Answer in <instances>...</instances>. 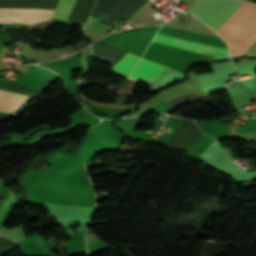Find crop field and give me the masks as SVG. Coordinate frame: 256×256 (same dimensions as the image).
I'll use <instances>...</instances> for the list:
<instances>
[{
    "label": "crop field",
    "instance_id": "crop-field-7",
    "mask_svg": "<svg viewBox=\"0 0 256 256\" xmlns=\"http://www.w3.org/2000/svg\"><path fill=\"white\" fill-rule=\"evenodd\" d=\"M0 96L9 98V99L22 101V102H27L28 100H30V98H27V97H24L21 95L7 93V92H1V91H0ZM21 105H23V103L0 99V110L13 112L16 108H18Z\"/></svg>",
    "mask_w": 256,
    "mask_h": 256
},
{
    "label": "crop field",
    "instance_id": "crop-field-4",
    "mask_svg": "<svg viewBox=\"0 0 256 256\" xmlns=\"http://www.w3.org/2000/svg\"><path fill=\"white\" fill-rule=\"evenodd\" d=\"M54 10L0 8V23L19 22L28 25L49 20Z\"/></svg>",
    "mask_w": 256,
    "mask_h": 256
},
{
    "label": "crop field",
    "instance_id": "crop-field-1",
    "mask_svg": "<svg viewBox=\"0 0 256 256\" xmlns=\"http://www.w3.org/2000/svg\"><path fill=\"white\" fill-rule=\"evenodd\" d=\"M217 33L230 53L244 54L256 40V5L244 3Z\"/></svg>",
    "mask_w": 256,
    "mask_h": 256
},
{
    "label": "crop field",
    "instance_id": "crop-field-2",
    "mask_svg": "<svg viewBox=\"0 0 256 256\" xmlns=\"http://www.w3.org/2000/svg\"><path fill=\"white\" fill-rule=\"evenodd\" d=\"M242 4L232 0H197L187 12L217 32Z\"/></svg>",
    "mask_w": 256,
    "mask_h": 256
},
{
    "label": "crop field",
    "instance_id": "crop-field-8",
    "mask_svg": "<svg viewBox=\"0 0 256 256\" xmlns=\"http://www.w3.org/2000/svg\"><path fill=\"white\" fill-rule=\"evenodd\" d=\"M77 0H59L52 17L69 20Z\"/></svg>",
    "mask_w": 256,
    "mask_h": 256
},
{
    "label": "crop field",
    "instance_id": "crop-field-3",
    "mask_svg": "<svg viewBox=\"0 0 256 256\" xmlns=\"http://www.w3.org/2000/svg\"><path fill=\"white\" fill-rule=\"evenodd\" d=\"M153 40L214 58L229 56L228 50L225 48L168 36L160 33H157Z\"/></svg>",
    "mask_w": 256,
    "mask_h": 256
},
{
    "label": "crop field",
    "instance_id": "crop-field-6",
    "mask_svg": "<svg viewBox=\"0 0 256 256\" xmlns=\"http://www.w3.org/2000/svg\"><path fill=\"white\" fill-rule=\"evenodd\" d=\"M138 60L139 57L126 52L112 68V71L127 77L131 73Z\"/></svg>",
    "mask_w": 256,
    "mask_h": 256
},
{
    "label": "crop field",
    "instance_id": "crop-field-5",
    "mask_svg": "<svg viewBox=\"0 0 256 256\" xmlns=\"http://www.w3.org/2000/svg\"><path fill=\"white\" fill-rule=\"evenodd\" d=\"M169 70L171 69L168 67L141 58L130 77L150 83L165 75Z\"/></svg>",
    "mask_w": 256,
    "mask_h": 256
},
{
    "label": "crop field",
    "instance_id": "crop-field-9",
    "mask_svg": "<svg viewBox=\"0 0 256 256\" xmlns=\"http://www.w3.org/2000/svg\"><path fill=\"white\" fill-rule=\"evenodd\" d=\"M247 1H251V0H247Z\"/></svg>",
    "mask_w": 256,
    "mask_h": 256
}]
</instances>
